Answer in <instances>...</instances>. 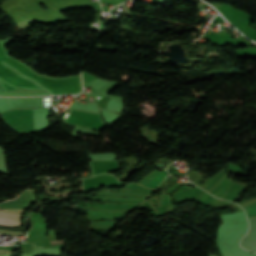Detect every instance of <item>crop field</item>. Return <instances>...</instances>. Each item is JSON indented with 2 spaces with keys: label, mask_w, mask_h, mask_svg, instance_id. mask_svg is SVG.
<instances>
[{
  "label": "crop field",
  "mask_w": 256,
  "mask_h": 256,
  "mask_svg": "<svg viewBox=\"0 0 256 256\" xmlns=\"http://www.w3.org/2000/svg\"><path fill=\"white\" fill-rule=\"evenodd\" d=\"M0 224L13 225V226H21V221L13 220V219L0 218Z\"/></svg>",
  "instance_id": "1"
},
{
  "label": "crop field",
  "mask_w": 256,
  "mask_h": 256,
  "mask_svg": "<svg viewBox=\"0 0 256 256\" xmlns=\"http://www.w3.org/2000/svg\"><path fill=\"white\" fill-rule=\"evenodd\" d=\"M0 211L12 212V213H24L25 209H2V208H0Z\"/></svg>",
  "instance_id": "3"
},
{
  "label": "crop field",
  "mask_w": 256,
  "mask_h": 256,
  "mask_svg": "<svg viewBox=\"0 0 256 256\" xmlns=\"http://www.w3.org/2000/svg\"><path fill=\"white\" fill-rule=\"evenodd\" d=\"M20 248H21V247H20ZM17 249H19V248H17ZM17 249L10 250V251H8L7 249H0V255L7 254V253H10V252H13V251H15V250H17Z\"/></svg>",
  "instance_id": "5"
},
{
  "label": "crop field",
  "mask_w": 256,
  "mask_h": 256,
  "mask_svg": "<svg viewBox=\"0 0 256 256\" xmlns=\"http://www.w3.org/2000/svg\"><path fill=\"white\" fill-rule=\"evenodd\" d=\"M23 214H12L0 212V217L21 219Z\"/></svg>",
  "instance_id": "2"
},
{
  "label": "crop field",
  "mask_w": 256,
  "mask_h": 256,
  "mask_svg": "<svg viewBox=\"0 0 256 256\" xmlns=\"http://www.w3.org/2000/svg\"><path fill=\"white\" fill-rule=\"evenodd\" d=\"M3 256H9V254L8 255H3Z\"/></svg>",
  "instance_id": "7"
},
{
  "label": "crop field",
  "mask_w": 256,
  "mask_h": 256,
  "mask_svg": "<svg viewBox=\"0 0 256 256\" xmlns=\"http://www.w3.org/2000/svg\"><path fill=\"white\" fill-rule=\"evenodd\" d=\"M62 243H64V240L52 242L50 244H51V246H54V245H58V244H62Z\"/></svg>",
  "instance_id": "6"
},
{
  "label": "crop field",
  "mask_w": 256,
  "mask_h": 256,
  "mask_svg": "<svg viewBox=\"0 0 256 256\" xmlns=\"http://www.w3.org/2000/svg\"><path fill=\"white\" fill-rule=\"evenodd\" d=\"M24 232H13V231H6V230H0V234L4 235H22Z\"/></svg>",
  "instance_id": "4"
}]
</instances>
